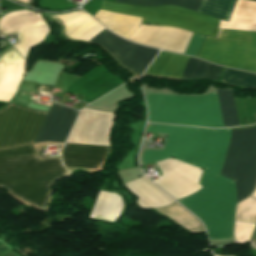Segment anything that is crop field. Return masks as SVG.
<instances>
[{
  "label": "crop field",
  "mask_w": 256,
  "mask_h": 256,
  "mask_svg": "<svg viewBox=\"0 0 256 256\" xmlns=\"http://www.w3.org/2000/svg\"><path fill=\"white\" fill-rule=\"evenodd\" d=\"M146 131L169 133L164 151H145L144 164L170 157L204 169L200 179L204 187L179 200L206 225L209 239L232 236L236 200L234 182L219 175L230 129H203L148 124Z\"/></svg>",
  "instance_id": "obj_1"
},
{
  "label": "crop field",
  "mask_w": 256,
  "mask_h": 256,
  "mask_svg": "<svg viewBox=\"0 0 256 256\" xmlns=\"http://www.w3.org/2000/svg\"><path fill=\"white\" fill-rule=\"evenodd\" d=\"M109 147L66 144L65 166L97 168ZM65 175L60 158L38 160L34 145L0 150V186L12 195L44 209L49 185Z\"/></svg>",
  "instance_id": "obj_2"
},
{
  "label": "crop field",
  "mask_w": 256,
  "mask_h": 256,
  "mask_svg": "<svg viewBox=\"0 0 256 256\" xmlns=\"http://www.w3.org/2000/svg\"><path fill=\"white\" fill-rule=\"evenodd\" d=\"M144 95L149 111L148 122L223 127L216 92L199 97Z\"/></svg>",
  "instance_id": "obj_3"
},
{
  "label": "crop field",
  "mask_w": 256,
  "mask_h": 256,
  "mask_svg": "<svg viewBox=\"0 0 256 256\" xmlns=\"http://www.w3.org/2000/svg\"><path fill=\"white\" fill-rule=\"evenodd\" d=\"M196 57L256 72V32L219 29L217 38L205 37Z\"/></svg>",
  "instance_id": "obj_4"
},
{
  "label": "crop field",
  "mask_w": 256,
  "mask_h": 256,
  "mask_svg": "<svg viewBox=\"0 0 256 256\" xmlns=\"http://www.w3.org/2000/svg\"><path fill=\"white\" fill-rule=\"evenodd\" d=\"M220 174L235 181L237 202L251 195L256 181V127L231 131Z\"/></svg>",
  "instance_id": "obj_5"
},
{
  "label": "crop field",
  "mask_w": 256,
  "mask_h": 256,
  "mask_svg": "<svg viewBox=\"0 0 256 256\" xmlns=\"http://www.w3.org/2000/svg\"><path fill=\"white\" fill-rule=\"evenodd\" d=\"M100 9L140 16L143 17L142 23L173 26L214 37L220 22L219 19L172 6L144 8L102 1Z\"/></svg>",
  "instance_id": "obj_6"
},
{
  "label": "crop field",
  "mask_w": 256,
  "mask_h": 256,
  "mask_svg": "<svg viewBox=\"0 0 256 256\" xmlns=\"http://www.w3.org/2000/svg\"><path fill=\"white\" fill-rule=\"evenodd\" d=\"M46 114L12 103L0 110V148L33 143Z\"/></svg>",
  "instance_id": "obj_7"
},
{
  "label": "crop field",
  "mask_w": 256,
  "mask_h": 256,
  "mask_svg": "<svg viewBox=\"0 0 256 256\" xmlns=\"http://www.w3.org/2000/svg\"><path fill=\"white\" fill-rule=\"evenodd\" d=\"M156 164L162 177L155 183L176 199L190 195L201 188L198 182L202 169L172 159L156 162Z\"/></svg>",
  "instance_id": "obj_8"
},
{
  "label": "crop field",
  "mask_w": 256,
  "mask_h": 256,
  "mask_svg": "<svg viewBox=\"0 0 256 256\" xmlns=\"http://www.w3.org/2000/svg\"><path fill=\"white\" fill-rule=\"evenodd\" d=\"M91 41L101 44L119 60L120 64L140 75L158 52L157 49L125 41L106 29Z\"/></svg>",
  "instance_id": "obj_9"
},
{
  "label": "crop field",
  "mask_w": 256,
  "mask_h": 256,
  "mask_svg": "<svg viewBox=\"0 0 256 256\" xmlns=\"http://www.w3.org/2000/svg\"><path fill=\"white\" fill-rule=\"evenodd\" d=\"M0 29L6 33L21 32L22 43L16 48L25 57L28 48L44 38L48 27L39 14L20 11L4 15L0 19Z\"/></svg>",
  "instance_id": "obj_10"
},
{
  "label": "crop field",
  "mask_w": 256,
  "mask_h": 256,
  "mask_svg": "<svg viewBox=\"0 0 256 256\" xmlns=\"http://www.w3.org/2000/svg\"><path fill=\"white\" fill-rule=\"evenodd\" d=\"M192 34L178 28L141 25L129 40L183 54Z\"/></svg>",
  "instance_id": "obj_11"
},
{
  "label": "crop field",
  "mask_w": 256,
  "mask_h": 256,
  "mask_svg": "<svg viewBox=\"0 0 256 256\" xmlns=\"http://www.w3.org/2000/svg\"><path fill=\"white\" fill-rule=\"evenodd\" d=\"M78 112L53 103L34 143H64Z\"/></svg>",
  "instance_id": "obj_12"
},
{
  "label": "crop field",
  "mask_w": 256,
  "mask_h": 256,
  "mask_svg": "<svg viewBox=\"0 0 256 256\" xmlns=\"http://www.w3.org/2000/svg\"><path fill=\"white\" fill-rule=\"evenodd\" d=\"M56 17L64 24L65 35L74 39L88 41L105 29L82 11L58 15Z\"/></svg>",
  "instance_id": "obj_13"
},
{
  "label": "crop field",
  "mask_w": 256,
  "mask_h": 256,
  "mask_svg": "<svg viewBox=\"0 0 256 256\" xmlns=\"http://www.w3.org/2000/svg\"><path fill=\"white\" fill-rule=\"evenodd\" d=\"M124 185L137 196L138 200L136 203L139 207L156 208L168 205L174 201L145 177Z\"/></svg>",
  "instance_id": "obj_14"
},
{
  "label": "crop field",
  "mask_w": 256,
  "mask_h": 256,
  "mask_svg": "<svg viewBox=\"0 0 256 256\" xmlns=\"http://www.w3.org/2000/svg\"><path fill=\"white\" fill-rule=\"evenodd\" d=\"M219 28L256 31V2L237 0L229 22L221 20Z\"/></svg>",
  "instance_id": "obj_15"
},
{
  "label": "crop field",
  "mask_w": 256,
  "mask_h": 256,
  "mask_svg": "<svg viewBox=\"0 0 256 256\" xmlns=\"http://www.w3.org/2000/svg\"><path fill=\"white\" fill-rule=\"evenodd\" d=\"M93 17L109 30L128 39L140 25L142 18L99 10Z\"/></svg>",
  "instance_id": "obj_16"
},
{
  "label": "crop field",
  "mask_w": 256,
  "mask_h": 256,
  "mask_svg": "<svg viewBox=\"0 0 256 256\" xmlns=\"http://www.w3.org/2000/svg\"><path fill=\"white\" fill-rule=\"evenodd\" d=\"M24 74V61L0 64V101H10Z\"/></svg>",
  "instance_id": "obj_17"
},
{
  "label": "crop field",
  "mask_w": 256,
  "mask_h": 256,
  "mask_svg": "<svg viewBox=\"0 0 256 256\" xmlns=\"http://www.w3.org/2000/svg\"><path fill=\"white\" fill-rule=\"evenodd\" d=\"M187 58V56L162 51L146 73L180 78Z\"/></svg>",
  "instance_id": "obj_18"
},
{
  "label": "crop field",
  "mask_w": 256,
  "mask_h": 256,
  "mask_svg": "<svg viewBox=\"0 0 256 256\" xmlns=\"http://www.w3.org/2000/svg\"><path fill=\"white\" fill-rule=\"evenodd\" d=\"M121 209L119 196L100 191L89 217L114 221Z\"/></svg>",
  "instance_id": "obj_19"
},
{
  "label": "crop field",
  "mask_w": 256,
  "mask_h": 256,
  "mask_svg": "<svg viewBox=\"0 0 256 256\" xmlns=\"http://www.w3.org/2000/svg\"><path fill=\"white\" fill-rule=\"evenodd\" d=\"M224 127L239 125L231 88H216Z\"/></svg>",
  "instance_id": "obj_20"
},
{
  "label": "crop field",
  "mask_w": 256,
  "mask_h": 256,
  "mask_svg": "<svg viewBox=\"0 0 256 256\" xmlns=\"http://www.w3.org/2000/svg\"><path fill=\"white\" fill-rule=\"evenodd\" d=\"M221 68L198 59L189 58L181 78L207 77L218 79Z\"/></svg>",
  "instance_id": "obj_21"
},
{
  "label": "crop field",
  "mask_w": 256,
  "mask_h": 256,
  "mask_svg": "<svg viewBox=\"0 0 256 256\" xmlns=\"http://www.w3.org/2000/svg\"><path fill=\"white\" fill-rule=\"evenodd\" d=\"M236 0H202L199 13L228 21Z\"/></svg>",
  "instance_id": "obj_22"
},
{
  "label": "crop field",
  "mask_w": 256,
  "mask_h": 256,
  "mask_svg": "<svg viewBox=\"0 0 256 256\" xmlns=\"http://www.w3.org/2000/svg\"><path fill=\"white\" fill-rule=\"evenodd\" d=\"M118 3L155 7L161 5H175L197 11L201 0H114Z\"/></svg>",
  "instance_id": "obj_23"
},
{
  "label": "crop field",
  "mask_w": 256,
  "mask_h": 256,
  "mask_svg": "<svg viewBox=\"0 0 256 256\" xmlns=\"http://www.w3.org/2000/svg\"><path fill=\"white\" fill-rule=\"evenodd\" d=\"M235 220L256 223V200L248 198L236 208Z\"/></svg>",
  "instance_id": "obj_24"
},
{
  "label": "crop field",
  "mask_w": 256,
  "mask_h": 256,
  "mask_svg": "<svg viewBox=\"0 0 256 256\" xmlns=\"http://www.w3.org/2000/svg\"><path fill=\"white\" fill-rule=\"evenodd\" d=\"M222 83L256 87V76L226 69Z\"/></svg>",
  "instance_id": "obj_25"
},
{
  "label": "crop field",
  "mask_w": 256,
  "mask_h": 256,
  "mask_svg": "<svg viewBox=\"0 0 256 256\" xmlns=\"http://www.w3.org/2000/svg\"><path fill=\"white\" fill-rule=\"evenodd\" d=\"M255 224L235 222V242H248Z\"/></svg>",
  "instance_id": "obj_26"
},
{
  "label": "crop field",
  "mask_w": 256,
  "mask_h": 256,
  "mask_svg": "<svg viewBox=\"0 0 256 256\" xmlns=\"http://www.w3.org/2000/svg\"><path fill=\"white\" fill-rule=\"evenodd\" d=\"M203 38V36L194 33L184 54L195 56Z\"/></svg>",
  "instance_id": "obj_27"
},
{
  "label": "crop field",
  "mask_w": 256,
  "mask_h": 256,
  "mask_svg": "<svg viewBox=\"0 0 256 256\" xmlns=\"http://www.w3.org/2000/svg\"><path fill=\"white\" fill-rule=\"evenodd\" d=\"M0 256H16L8 247L0 243Z\"/></svg>",
  "instance_id": "obj_28"
},
{
  "label": "crop field",
  "mask_w": 256,
  "mask_h": 256,
  "mask_svg": "<svg viewBox=\"0 0 256 256\" xmlns=\"http://www.w3.org/2000/svg\"><path fill=\"white\" fill-rule=\"evenodd\" d=\"M252 241H256V226L254 228L253 234H252L251 239H250L249 242H252Z\"/></svg>",
  "instance_id": "obj_29"
},
{
  "label": "crop field",
  "mask_w": 256,
  "mask_h": 256,
  "mask_svg": "<svg viewBox=\"0 0 256 256\" xmlns=\"http://www.w3.org/2000/svg\"><path fill=\"white\" fill-rule=\"evenodd\" d=\"M250 197H252V198L256 199V190H255V192L253 193V195H252V196H250Z\"/></svg>",
  "instance_id": "obj_30"
},
{
  "label": "crop field",
  "mask_w": 256,
  "mask_h": 256,
  "mask_svg": "<svg viewBox=\"0 0 256 256\" xmlns=\"http://www.w3.org/2000/svg\"><path fill=\"white\" fill-rule=\"evenodd\" d=\"M215 256H221V255H216V254H214Z\"/></svg>",
  "instance_id": "obj_31"
},
{
  "label": "crop field",
  "mask_w": 256,
  "mask_h": 256,
  "mask_svg": "<svg viewBox=\"0 0 256 256\" xmlns=\"http://www.w3.org/2000/svg\"><path fill=\"white\" fill-rule=\"evenodd\" d=\"M254 245H256V242H254Z\"/></svg>",
  "instance_id": "obj_32"
},
{
  "label": "crop field",
  "mask_w": 256,
  "mask_h": 256,
  "mask_svg": "<svg viewBox=\"0 0 256 256\" xmlns=\"http://www.w3.org/2000/svg\"><path fill=\"white\" fill-rule=\"evenodd\" d=\"M254 1H256V0H254Z\"/></svg>",
  "instance_id": "obj_33"
}]
</instances>
